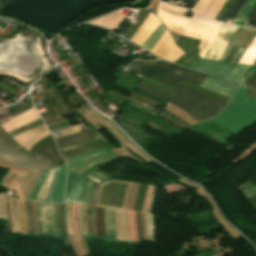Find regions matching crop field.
<instances>
[{
    "instance_id": "crop-field-1",
    "label": "crop field",
    "mask_w": 256,
    "mask_h": 256,
    "mask_svg": "<svg viewBox=\"0 0 256 256\" xmlns=\"http://www.w3.org/2000/svg\"><path fill=\"white\" fill-rule=\"evenodd\" d=\"M137 89L164 101H170L184 108L201 121L217 114L226 104V102L198 93L182 85L179 86L177 92L172 97L142 84L138 85Z\"/></svg>"
},
{
    "instance_id": "crop-field-32",
    "label": "crop field",
    "mask_w": 256,
    "mask_h": 256,
    "mask_svg": "<svg viewBox=\"0 0 256 256\" xmlns=\"http://www.w3.org/2000/svg\"><path fill=\"white\" fill-rule=\"evenodd\" d=\"M255 193H256V186H254V187L246 190L245 192H243V195L245 196V198H247V197H249V196H251Z\"/></svg>"
},
{
    "instance_id": "crop-field-20",
    "label": "crop field",
    "mask_w": 256,
    "mask_h": 256,
    "mask_svg": "<svg viewBox=\"0 0 256 256\" xmlns=\"http://www.w3.org/2000/svg\"><path fill=\"white\" fill-rule=\"evenodd\" d=\"M247 0H237L230 9L224 22L231 24Z\"/></svg>"
},
{
    "instance_id": "crop-field-13",
    "label": "crop field",
    "mask_w": 256,
    "mask_h": 256,
    "mask_svg": "<svg viewBox=\"0 0 256 256\" xmlns=\"http://www.w3.org/2000/svg\"><path fill=\"white\" fill-rule=\"evenodd\" d=\"M93 130H95V129L91 128V129L73 134L68 137L56 139L55 141L57 144V148L59 149L62 147H66V146H69L72 144L80 143V142L89 140L91 138L97 137L94 133L91 132Z\"/></svg>"
},
{
    "instance_id": "crop-field-29",
    "label": "crop field",
    "mask_w": 256,
    "mask_h": 256,
    "mask_svg": "<svg viewBox=\"0 0 256 256\" xmlns=\"http://www.w3.org/2000/svg\"><path fill=\"white\" fill-rule=\"evenodd\" d=\"M94 210H95V206H91V224H92V232H93V236H94V237H97V234H96V227H95Z\"/></svg>"
},
{
    "instance_id": "crop-field-7",
    "label": "crop field",
    "mask_w": 256,
    "mask_h": 256,
    "mask_svg": "<svg viewBox=\"0 0 256 256\" xmlns=\"http://www.w3.org/2000/svg\"><path fill=\"white\" fill-rule=\"evenodd\" d=\"M256 31L245 29L239 27L237 32L235 33L234 37L230 41L229 45L223 52L220 60L224 61L228 51L230 50L232 45L240 47L238 52L236 53L235 57L233 58L232 62L238 63L244 52L246 51L250 41L252 40L253 36L255 35Z\"/></svg>"
},
{
    "instance_id": "crop-field-35",
    "label": "crop field",
    "mask_w": 256,
    "mask_h": 256,
    "mask_svg": "<svg viewBox=\"0 0 256 256\" xmlns=\"http://www.w3.org/2000/svg\"><path fill=\"white\" fill-rule=\"evenodd\" d=\"M248 95H250L251 97L255 98L256 99V92L252 91V90H248V92L246 93Z\"/></svg>"
},
{
    "instance_id": "crop-field-33",
    "label": "crop field",
    "mask_w": 256,
    "mask_h": 256,
    "mask_svg": "<svg viewBox=\"0 0 256 256\" xmlns=\"http://www.w3.org/2000/svg\"><path fill=\"white\" fill-rule=\"evenodd\" d=\"M55 209H56V217H57L58 233H59V236H62V233H61V227H60V219H59V209H58V205H55Z\"/></svg>"
},
{
    "instance_id": "crop-field-16",
    "label": "crop field",
    "mask_w": 256,
    "mask_h": 256,
    "mask_svg": "<svg viewBox=\"0 0 256 256\" xmlns=\"http://www.w3.org/2000/svg\"><path fill=\"white\" fill-rule=\"evenodd\" d=\"M165 30V27L161 23L140 46L151 52V50L161 38Z\"/></svg>"
},
{
    "instance_id": "crop-field-11",
    "label": "crop field",
    "mask_w": 256,
    "mask_h": 256,
    "mask_svg": "<svg viewBox=\"0 0 256 256\" xmlns=\"http://www.w3.org/2000/svg\"><path fill=\"white\" fill-rule=\"evenodd\" d=\"M224 2L225 0H199L192 11L197 15L214 19Z\"/></svg>"
},
{
    "instance_id": "crop-field-24",
    "label": "crop field",
    "mask_w": 256,
    "mask_h": 256,
    "mask_svg": "<svg viewBox=\"0 0 256 256\" xmlns=\"http://www.w3.org/2000/svg\"><path fill=\"white\" fill-rule=\"evenodd\" d=\"M47 173H48V171H45V170L42 171V173H41V175L38 179V182H37L35 188L33 189L32 193L29 197L30 200H35L36 199V197H37V195L40 191V188H41V186H42V184L45 180V177H46Z\"/></svg>"
},
{
    "instance_id": "crop-field-5",
    "label": "crop field",
    "mask_w": 256,
    "mask_h": 256,
    "mask_svg": "<svg viewBox=\"0 0 256 256\" xmlns=\"http://www.w3.org/2000/svg\"><path fill=\"white\" fill-rule=\"evenodd\" d=\"M248 67V65L229 64L201 59L197 70L237 82Z\"/></svg>"
},
{
    "instance_id": "crop-field-17",
    "label": "crop field",
    "mask_w": 256,
    "mask_h": 256,
    "mask_svg": "<svg viewBox=\"0 0 256 256\" xmlns=\"http://www.w3.org/2000/svg\"><path fill=\"white\" fill-rule=\"evenodd\" d=\"M100 146H104V144L100 140H98V141L86 144L82 147H79V148H76L73 150L61 152V155L63 156V158H66V157H70V156H74V155H78V154H82V153L91 151Z\"/></svg>"
},
{
    "instance_id": "crop-field-2",
    "label": "crop field",
    "mask_w": 256,
    "mask_h": 256,
    "mask_svg": "<svg viewBox=\"0 0 256 256\" xmlns=\"http://www.w3.org/2000/svg\"><path fill=\"white\" fill-rule=\"evenodd\" d=\"M247 90L248 88L240 86L229 104L210 119L235 134L254 124L256 100L245 94Z\"/></svg>"
},
{
    "instance_id": "crop-field-8",
    "label": "crop field",
    "mask_w": 256,
    "mask_h": 256,
    "mask_svg": "<svg viewBox=\"0 0 256 256\" xmlns=\"http://www.w3.org/2000/svg\"><path fill=\"white\" fill-rule=\"evenodd\" d=\"M111 155L113 154L110 152V150L106 146H104L102 148L96 149L94 151L79 156L66 158L65 161L67 162L68 168L71 169L83 164L100 160Z\"/></svg>"
},
{
    "instance_id": "crop-field-31",
    "label": "crop field",
    "mask_w": 256,
    "mask_h": 256,
    "mask_svg": "<svg viewBox=\"0 0 256 256\" xmlns=\"http://www.w3.org/2000/svg\"><path fill=\"white\" fill-rule=\"evenodd\" d=\"M59 209H60V219H61L62 233H63V236L66 237L65 227H64V221H63L62 205H59Z\"/></svg>"
},
{
    "instance_id": "crop-field-34",
    "label": "crop field",
    "mask_w": 256,
    "mask_h": 256,
    "mask_svg": "<svg viewBox=\"0 0 256 256\" xmlns=\"http://www.w3.org/2000/svg\"><path fill=\"white\" fill-rule=\"evenodd\" d=\"M83 205V228H84V235H87V231H86V219H85V209H86V205Z\"/></svg>"
},
{
    "instance_id": "crop-field-27",
    "label": "crop field",
    "mask_w": 256,
    "mask_h": 256,
    "mask_svg": "<svg viewBox=\"0 0 256 256\" xmlns=\"http://www.w3.org/2000/svg\"><path fill=\"white\" fill-rule=\"evenodd\" d=\"M198 0H169V3L187 7L190 10L194 7Z\"/></svg>"
},
{
    "instance_id": "crop-field-19",
    "label": "crop field",
    "mask_w": 256,
    "mask_h": 256,
    "mask_svg": "<svg viewBox=\"0 0 256 256\" xmlns=\"http://www.w3.org/2000/svg\"><path fill=\"white\" fill-rule=\"evenodd\" d=\"M95 218H96L98 236L106 237L105 224H104V208L96 206Z\"/></svg>"
},
{
    "instance_id": "crop-field-6",
    "label": "crop field",
    "mask_w": 256,
    "mask_h": 256,
    "mask_svg": "<svg viewBox=\"0 0 256 256\" xmlns=\"http://www.w3.org/2000/svg\"><path fill=\"white\" fill-rule=\"evenodd\" d=\"M237 28L222 23L203 58L219 60Z\"/></svg>"
},
{
    "instance_id": "crop-field-30",
    "label": "crop field",
    "mask_w": 256,
    "mask_h": 256,
    "mask_svg": "<svg viewBox=\"0 0 256 256\" xmlns=\"http://www.w3.org/2000/svg\"><path fill=\"white\" fill-rule=\"evenodd\" d=\"M246 85L256 88V72L253 74V76L248 80Z\"/></svg>"
},
{
    "instance_id": "crop-field-26",
    "label": "crop field",
    "mask_w": 256,
    "mask_h": 256,
    "mask_svg": "<svg viewBox=\"0 0 256 256\" xmlns=\"http://www.w3.org/2000/svg\"><path fill=\"white\" fill-rule=\"evenodd\" d=\"M29 231L35 234L31 201H25Z\"/></svg>"
},
{
    "instance_id": "crop-field-9",
    "label": "crop field",
    "mask_w": 256,
    "mask_h": 256,
    "mask_svg": "<svg viewBox=\"0 0 256 256\" xmlns=\"http://www.w3.org/2000/svg\"><path fill=\"white\" fill-rule=\"evenodd\" d=\"M54 110L57 112L59 117L76 113L69 103L65 101L63 94L56 88L52 89L49 93L44 96Z\"/></svg>"
},
{
    "instance_id": "crop-field-25",
    "label": "crop field",
    "mask_w": 256,
    "mask_h": 256,
    "mask_svg": "<svg viewBox=\"0 0 256 256\" xmlns=\"http://www.w3.org/2000/svg\"><path fill=\"white\" fill-rule=\"evenodd\" d=\"M236 0H227L224 6L221 8L217 16L215 17L216 20L223 21L224 17L227 15L229 9L234 4Z\"/></svg>"
},
{
    "instance_id": "crop-field-3",
    "label": "crop field",
    "mask_w": 256,
    "mask_h": 256,
    "mask_svg": "<svg viewBox=\"0 0 256 256\" xmlns=\"http://www.w3.org/2000/svg\"><path fill=\"white\" fill-rule=\"evenodd\" d=\"M140 62L134 61L131 65L141 69L139 73L175 88L181 83L179 79L200 86L206 78V75L159 61Z\"/></svg>"
},
{
    "instance_id": "crop-field-28",
    "label": "crop field",
    "mask_w": 256,
    "mask_h": 256,
    "mask_svg": "<svg viewBox=\"0 0 256 256\" xmlns=\"http://www.w3.org/2000/svg\"><path fill=\"white\" fill-rule=\"evenodd\" d=\"M136 219H137L139 241H143L141 217H140V213H138V212H136Z\"/></svg>"
},
{
    "instance_id": "crop-field-21",
    "label": "crop field",
    "mask_w": 256,
    "mask_h": 256,
    "mask_svg": "<svg viewBox=\"0 0 256 256\" xmlns=\"http://www.w3.org/2000/svg\"><path fill=\"white\" fill-rule=\"evenodd\" d=\"M158 116L162 117L163 119H165L166 121L170 122L171 124H173L174 126L178 127L181 130H183L186 127L190 126V125H188V124L178 120L175 116L167 113L164 110Z\"/></svg>"
},
{
    "instance_id": "crop-field-15",
    "label": "crop field",
    "mask_w": 256,
    "mask_h": 256,
    "mask_svg": "<svg viewBox=\"0 0 256 256\" xmlns=\"http://www.w3.org/2000/svg\"><path fill=\"white\" fill-rule=\"evenodd\" d=\"M36 152H39L42 155L48 157L58 166L64 163L54 146L53 140L49 141L47 144L39 148Z\"/></svg>"
},
{
    "instance_id": "crop-field-18",
    "label": "crop field",
    "mask_w": 256,
    "mask_h": 256,
    "mask_svg": "<svg viewBox=\"0 0 256 256\" xmlns=\"http://www.w3.org/2000/svg\"><path fill=\"white\" fill-rule=\"evenodd\" d=\"M65 173H66V165H63L60 167L59 182L55 190L53 203H62L63 192L65 187Z\"/></svg>"
},
{
    "instance_id": "crop-field-22",
    "label": "crop field",
    "mask_w": 256,
    "mask_h": 256,
    "mask_svg": "<svg viewBox=\"0 0 256 256\" xmlns=\"http://www.w3.org/2000/svg\"><path fill=\"white\" fill-rule=\"evenodd\" d=\"M42 124L43 123H42L41 119H39L37 121L31 122V123H29L27 125H24V126H22L20 128L12 130V131L8 132V134L13 138L15 136H18V135H20V134H22V133H24V132H26L28 130H31V129L37 127V126H40Z\"/></svg>"
},
{
    "instance_id": "crop-field-10",
    "label": "crop field",
    "mask_w": 256,
    "mask_h": 256,
    "mask_svg": "<svg viewBox=\"0 0 256 256\" xmlns=\"http://www.w3.org/2000/svg\"><path fill=\"white\" fill-rule=\"evenodd\" d=\"M201 87L231 98L238 85L207 76Z\"/></svg>"
},
{
    "instance_id": "crop-field-23",
    "label": "crop field",
    "mask_w": 256,
    "mask_h": 256,
    "mask_svg": "<svg viewBox=\"0 0 256 256\" xmlns=\"http://www.w3.org/2000/svg\"><path fill=\"white\" fill-rule=\"evenodd\" d=\"M58 173H59V167L55 169L53 180H52L51 185L48 189L45 202L52 203L54 190H55V187H56L57 182H58Z\"/></svg>"
},
{
    "instance_id": "crop-field-4",
    "label": "crop field",
    "mask_w": 256,
    "mask_h": 256,
    "mask_svg": "<svg viewBox=\"0 0 256 256\" xmlns=\"http://www.w3.org/2000/svg\"><path fill=\"white\" fill-rule=\"evenodd\" d=\"M95 183L68 171L66 200L91 204Z\"/></svg>"
},
{
    "instance_id": "crop-field-12",
    "label": "crop field",
    "mask_w": 256,
    "mask_h": 256,
    "mask_svg": "<svg viewBox=\"0 0 256 256\" xmlns=\"http://www.w3.org/2000/svg\"><path fill=\"white\" fill-rule=\"evenodd\" d=\"M40 117L38 116L37 112L35 109H31L18 117L0 125L6 132L15 129L19 126H22L24 124H27L31 121H34L36 119H39Z\"/></svg>"
},
{
    "instance_id": "crop-field-14",
    "label": "crop field",
    "mask_w": 256,
    "mask_h": 256,
    "mask_svg": "<svg viewBox=\"0 0 256 256\" xmlns=\"http://www.w3.org/2000/svg\"><path fill=\"white\" fill-rule=\"evenodd\" d=\"M255 4L256 0H248L243 9L241 10L240 14L237 16L236 20L245 22L248 14L250 13ZM246 22L249 23L250 26H256V5L249 14Z\"/></svg>"
}]
</instances>
